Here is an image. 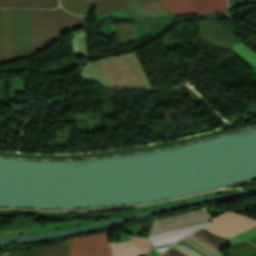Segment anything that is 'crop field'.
<instances>
[{
	"label": "crop field",
	"instance_id": "8a807250",
	"mask_svg": "<svg viewBox=\"0 0 256 256\" xmlns=\"http://www.w3.org/2000/svg\"><path fill=\"white\" fill-rule=\"evenodd\" d=\"M209 221L204 210L157 220L150 239L156 249L167 247L180 237L206 225Z\"/></svg>",
	"mask_w": 256,
	"mask_h": 256
},
{
	"label": "crop field",
	"instance_id": "ac0d7876",
	"mask_svg": "<svg viewBox=\"0 0 256 256\" xmlns=\"http://www.w3.org/2000/svg\"><path fill=\"white\" fill-rule=\"evenodd\" d=\"M107 86L112 88H146L132 56L98 64Z\"/></svg>",
	"mask_w": 256,
	"mask_h": 256
},
{
	"label": "crop field",
	"instance_id": "34b2d1b8",
	"mask_svg": "<svg viewBox=\"0 0 256 256\" xmlns=\"http://www.w3.org/2000/svg\"><path fill=\"white\" fill-rule=\"evenodd\" d=\"M32 55L57 41L54 10H30Z\"/></svg>",
	"mask_w": 256,
	"mask_h": 256
},
{
	"label": "crop field",
	"instance_id": "412701ff",
	"mask_svg": "<svg viewBox=\"0 0 256 256\" xmlns=\"http://www.w3.org/2000/svg\"><path fill=\"white\" fill-rule=\"evenodd\" d=\"M216 25V24H215ZM209 21H202V27H201V32L198 36L208 40L209 42L223 48L226 50H230L234 52L236 55H238L241 59H243L246 63H248L251 67H253L256 70V55L249 50L245 45L242 43H238L234 45V35L231 32L225 31L217 26H215ZM234 45V46H233ZM233 46V49L237 50L240 54H242L247 61L242 55H240L237 51L231 49Z\"/></svg>",
	"mask_w": 256,
	"mask_h": 256
},
{
	"label": "crop field",
	"instance_id": "f4fd0767",
	"mask_svg": "<svg viewBox=\"0 0 256 256\" xmlns=\"http://www.w3.org/2000/svg\"><path fill=\"white\" fill-rule=\"evenodd\" d=\"M13 61L31 55L29 10L11 9Z\"/></svg>",
	"mask_w": 256,
	"mask_h": 256
},
{
	"label": "crop field",
	"instance_id": "dd49c442",
	"mask_svg": "<svg viewBox=\"0 0 256 256\" xmlns=\"http://www.w3.org/2000/svg\"><path fill=\"white\" fill-rule=\"evenodd\" d=\"M172 15H195L225 11L227 0H158ZM199 11H201L199 13Z\"/></svg>",
	"mask_w": 256,
	"mask_h": 256
},
{
	"label": "crop field",
	"instance_id": "e52e79f7",
	"mask_svg": "<svg viewBox=\"0 0 256 256\" xmlns=\"http://www.w3.org/2000/svg\"><path fill=\"white\" fill-rule=\"evenodd\" d=\"M109 232L74 238L71 240L70 256H112L109 243Z\"/></svg>",
	"mask_w": 256,
	"mask_h": 256
},
{
	"label": "crop field",
	"instance_id": "d8731c3e",
	"mask_svg": "<svg viewBox=\"0 0 256 256\" xmlns=\"http://www.w3.org/2000/svg\"><path fill=\"white\" fill-rule=\"evenodd\" d=\"M207 229L215 234L231 237L256 226V220L228 211L212 219Z\"/></svg>",
	"mask_w": 256,
	"mask_h": 256
},
{
	"label": "crop field",
	"instance_id": "5a996713",
	"mask_svg": "<svg viewBox=\"0 0 256 256\" xmlns=\"http://www.w3.org/2000/svg\"><path fill=\"white\" fill-rule=\"evenodd\" d=\"M171 248L185 256H224L220 250L192 234L176 242Z\"/></svg>",
	"mask_w": 256,
	"mask_h": 256
},
{
	"label": "crop field",
	"instance_id": "3316defc",
	"mask_svg": "<svg viewBox=\"0 0 256 256\" xmlns=\"http://www.w3.org/2000/svg\"><path fill=\"white\" fill-rule=\"evenodd\" d=\"M62 5L74 13L82 14L81 10L86 9V0H62ZM123 9H131L128 0L98 6V15L111 13Z\"/></svg>",
	"mask_w": 256,
	"mask_h": 256
},
{
	"label": "crop field",
	"instance_id": "28ad6ade",
	"mask_svg": "<svg viewBox=\"0 0 256 256\" xmlns=\"http://www.w3.org/2000/svg\"><path fill=\"white\" fill-rule=\"evenodd\" d=\"M4 63L12 61L10 9H1Z\"/></svg>",
	"mask_w": 256,
	"mask_h": 256
},
{
	"label": "crop field",
	"instance_id": "d1516ede",
	"mask_svg": "<svg viewBox=\"0 0 256 256\" xmlns=\"http://www.w3.org/2000/svg\"><path fill=\"white\" fill-rule=\"evenodd\" d=\"M58 5V0H0V7L52 9Z\"/></svg>",
	"mask_w": 256,
	"mask_h": 256
},
{
	"label": "crop field",
	"instance_id": "22f410ed",
	"mask_svg": "<svg viewBox=\"0 0 256 256\" xmlns=\"http://www.w3.org/2000/svg\"><path fill=\"white\" fill-rule=\"evenodd\" d=\"M56 13L58 37L85 23L83 18L69 15L61 9L56 10Z\"/></svg>",
	"mask_w": 256,
	"mask_h": 256
},
{
	"label": "crop field",
	"instance_id": "cbeb9de0",
	"mask_svg": "<svg viewBox=\"0 0 256 256\" xmlns=\"http://www.w3.org/2000/svg\"><path fill=\"white\" fill-rule=\"evenodd\" d=\"M69 246L56 245L53 247H43L31 250L27 253L18 254L15 256H67Z\"/></svg>",
	"mask_w": 256,
	"mask_h": 256
},
{
	"label": "crop field",
	"instance_id": "5142ce71",
	"mask_svg": "<svg viewBox=\"0 0 256 256\" xmlns=\"http://www.w3.org/2000/svg\"><path fill=\"white\" fill-rule=\"evenodd\" d=\"M196 235L197 237L203 239L204 241L208 242L209 244L215 246L216 248L222 250L224 248H227L229 239L222 238L220 236L211 234L204 228L192 233Z\"/></svg>",
	"mask_w": 256,
	"mask_h": 256
},
{
	"label": "crop field",
	"instance_id": "d9b57169",
	"mask_svg": "<svg viewBox=\"0 0 256 256\" xmlns=\"http://www.w3.org/2000/svg\"><path fill=\"white\" fill-rule=\"evenodd\" d=\"M133 9L142 11L138 0H129ZM145 12L148 13H169L157 0L141 3ZM143 12V11H142Z\"/></svg>",
	"mask_w": 256,
	"mask_h": 256
},
{
	"label": "crop field",
	"instance_id": "733c2abd",
	"mask_svg": "<svg viewBox=\"0 0 256 256\" xmlns=\"http://www.w3.org/2000/svg\"><path fill=\"white\" fill-rule=\"evenodd\" d=\"M256 250V247L250 243L241 242L231 247L229 256H242L246 253Z\"/></svg>",
	"mask_w": 256,
	"mask_h": 256
},
{
	"label": "crop field",
	"instance_id": "4a817a6b",
	"mask_svg": "<svg viewBox=\"0 0 256 256\" xmlns=\"http://www.w3.org/2000/svg\"><path fill=\"white\" fill-rule=\"evenodd\" d=\"M119 44L131 40V31L129 24L115 25Z\"/></svg>",
	"mask_w": 256,
	"mask_h": 256
},
{
	"label": "crop field",
	"instance_id": "bc2a9ffb",
	"mask_svg": "<svg viewBox=\"0 0 256 256\" xmlns=\"http://www.w3.org/2000/svg\"><path fill=\"white\" fill-rule=\"evenodd\" d=\"M131 240L137 247V249L140 251V253L143 255L147 254L150 250L149 247H151L148 239H142L139 237L130 236Z\"/></svg>",
	"mask_w": 256,
	"mask_h": 256
},
{
	"label": "crop field",
	"instance_id": "214f88e0",
	"mask_svg": "<svg viewBox=\"0 0 256 256\" xmlns=\"http://www.w3.org/2000/svg\"><path fill=\"white\" fill-rule=\"evenodd\" d=\"M116 1H120V0H98V1L89 2V5L90 7H92V6L102 5V4L116 2Z\"/></svg>",
	"mask_w": 256,
	"mask_h": 256
},
{
	"label": "crop field",
	"instance_id": "92a150f3",
	"mask_svg": "<svg viewBox=\"0 0 256 256\" xmlns=\"http://www.w3.org/2000/svg\"><path fill=\"white\" fill-rule=\"evenodd\" d=\"M160 256H183V255L170 248L164 251V253L161 254Z\"/></svg>",
	"mask_w": 256,
	"mask_h": 256
},
{
	"label": "crop field",
	"instance_id": "dafd665d",
	"mask_svg": "<svg viewBox=\"0 0 256 256\" xmlns=\"http://www.w3.org/2000/svg\"><path fill=\"white\" fill-rule=\"evenodd\" d=\"M1 64H3V54H2L1 18H0V65Z\"/></svg>",
	"mask_w": 256,
	"mask_h": 256
},
{
	"label": "crop field",
	"instance_id": "00972430",
	"mask_svg": "<svg viewBox=\"0 0 256 256\" xmlns=\"http://www.w3.org/2000/svg\"><path fill=\"white\" fill-rule=\"evenodd\" d=\"M244 1H248V0H229V5H231L233 3L244 2Z\"/></svg>",
	"mask_w": 256,
	"mask_h": 256
},
{
	"label": "crop field",
	"instance_id": "a9b5d70f",
	"mask_svg": "<svg viewBox=\"0 0 256 256\" xmlns=\"http://www.w3.org/2000/svg\"><path fill=\"white\" fill-rule=\"evenodd\" d=\"M244 256H256V251L251 252V253H249V254H247V255H244Z\"/></svg>",
	"mask_w": 256,
	"mask_h": 256
},
{
	"label": "crop field",
	"instance_id": "4177f3b9",
	"mask_svg": "<svg viewBox=\"0 0 256 256\" xmlns=\"http://www.w3.org/2000/svg\"><path fill=\"white\" fill-rule=\"evenodd\" d=\"M248 242H251L256 245V238L249 240Z\"/></svg>",
	"mask_w": 256,
	"mask_h": 256
},
{
	"label": "crop field",
	"instance_id": "730fd06b",
	"mask_svg": "<svg viewBox=\"0 0 256 256\" xmlns=\"http://www.w3.org/2000/svg\"><path fill=\"white\" fill-rule=\"evenodd\" d=\"M141 2H143V1H147V0H140Z\"/></svg>",
	"mask_w": 256,
	"mask_h": 256
},
{
	"label": "crop field",
	"instance_id": "eef30255",
	"mask_svg": "<svg viewBox=\"0 0 256 256\" xmlns=\"http://www.w3.org/2000/svg\"><path fill=\"white\" fill-rule=\"evenodd\" d=\"M88 1H91V0H87V2H88Z\"/></svg>",
	"mask_w": 256,
	"mask_h": 256
},
{
	"label": "crop field",
	"instance_id": "ae1a2a85",
	"mask_svg": "<svg viewBox=\"0 0 256 256\" xmlns=\"http://www.w3.org/2000/svg\"><path fill=\"white\" fill-rule=\"evenodd\" d=\"M13 255V254H12ZM12 255H9V256H12Z\"/></svg>",
	"mask_w": 256,
	"mask_h": 256
}]
</instances>
